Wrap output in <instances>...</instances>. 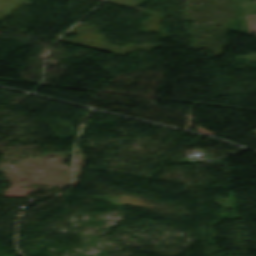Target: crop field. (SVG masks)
<instances>
[{"instance_id":"1","label":"crop field","mask_w":256,"mask_h":256,"mask_svg":"<svg viewBox=\"0 0 256 256\" xmlns=\"http://www.w3.org/2000/svg\"><path fill=\"white\" fill-rule=\"evenodd\" d=\"M252 133L256 134V130L251 131Z\"/></svg>"}]
</instances>
